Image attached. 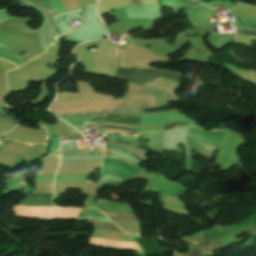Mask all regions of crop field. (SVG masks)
<instances>
[{"label": "crop field", "instance_id": "8a807250", "mask_svg": "<svg viewBox=\"0 0 256 256\" xmlns=\"http://www.w3.org/2000/svg\"><path fill=\"white\" fill-rule=\"evenodd\" d=\"M117 56H119L118 48H117ZM181 76L182 75L180 74H174V73L152 70V69H127V68L118 67L115 77L143 85L158 77L171 79L179 83Z\"/></svg>", "mask_w": 256, "mask_h": 256}, {"label": "crop field", "instance_id": "3316defc", "mask_svg": "<svg viewBox=\"0 0 256 256\" xmlns=\"http://www.w3.org/2000/svg\"><path fill=\"white\" fill-rule=\"evenodd\" d=\"M88 222L94 223L95 228H99V229H105V230H109V231H113V232H118V233H123L118 227H116L115 225L112 224H107V223H102V222H96V221H92V220H88ZM124 234V233H123Z\"/></svg>", "mask_w": 256, "mask_h": 256}, {"label": "crop field", "instance_id": "5a996713", "mask_svg": "<svg viewBox=\"0 0 256 256\" xmlns=\"http://www.w3.org/2000/svg\"><path fill=\"white\" fill-rule=\"evenodd\" d=\"M156 106H158V104L117 107V108H115L114 110H112V111H110L108 113H120V112L142 113L141 108L156 107Z\"/></svg>", "mask_w": 256, "mask_h": 256}, {"label": "crop field", "instance_id": "cbeb9de0", "mask_svg": "<svg viewBox=\"0 0 256 256\" xmlns=\"http://www.w3.org/2000/svg\"><path fill=\"white\" fill-rule=\"evenodd\" d=\"M0 121H4V122H8V123L14 124L13 119H11V118H9V117L1 114V113H0Z\"/></svg>", "mask_w": 256, "mask_h": 256}, {"label": "crop field", "instance_id": "f4fd0767", "mask_svg": "<svg viewBox=\"0 0 256 256\" xmlns=\"http://www.w3.org/2000/svg\"><path fill=\"white\" fill-rule=\"evenodd\" d=\"M0 57L3 59L13 61L17 65H22L25 62H27V60L16 55L15 51H13L9 46H7L1 42H0Z\"/></svg>", "mask_w": 256, "mask_h": 256}, {"label": "crop field", "instance_id": "ac0d7876", "mask_svg": "<svg viewBox=\"0 0 256 256\" xmlns=\"http://www.w3.org/2000/svg\"><path fill=\"white\" fill-rule=\"evenodd\" d=\"M100 116H106V114L100 115ZM141 118H142V124L188 121L189 126L200 129V127L197 126L192 120H190L188 117L184 116L181 113L162 115L157 117H141ZM141 118L140 117H94L89 121H111V122H117V123L141 124Z\"/></svg>", "mask_w": 256, "mask_h": 256}, {"label": "crop field", "instance_id": "22f410ed", "mask_svg": "<svg viewBox=\"0 0 256 256\" xmlns=\"http://www.w3.org/2000/svg\"><path fill=\"white\" fill-rule=\"evenodd\" d=\"M236 31H237L238 34L256 36V31H255V30L236 29ZM236 31H235V32H236Z\"/></svg>", "mask_w": 256, "mask_h": 256}, {"label": "crop field", "instance_id": "28ad6ade", "mask_svg": "<svg viewBox=\"0 0 256 256\" xmlns=\"http://www.w3.org/2000/svg\"><path fill=\"white\" fill-rule=\"evenodd\" d=\"M239 27L256 29V19L236 17Z\"/></svg>", "mask_w": 256, "mask_h": 256}, {"label": "crop field", "instance_id": "733c2abd", "mask_svg": "<svg viewBox=\"0 0 256 256\" xmlns=\"http://www.w3.org/2000/svg\"><path fill=\"white\" fill-rule=\"evenodd\" d=\"M86 20V17H85V19H84V21Z\"/></svg>", "mask_w": 256, "mask_h": 256}, {"label": "crop field", "instance_id": "34b2d1b8", "mask_svg": "<svg viewBox=\"0 0 256 256\" xmlns=\"http://www.w3.org/2000/svg\"><path fill=\"white\" fill-rule=\"evenodd\" d=\"M191 132L199 137L204 142L211 144L215 147L219 144L222 134L224 131H202V130H196L193 128H190Z\"/></svg>", "mask_w": 256, "mask_h": 256}, {"label": "crop field", "instance_id": "dd49c442", "mask_svg": "<svg viewBox=\"0 0 256 256\" xmlns=\"http://www.w3.org/2000/svg\"><path fill=\"white\" fill-rule=\"evenodd\" d=\"M98 115V114H88V115H75V116H59L74 127L83 126L84 122L87 121L89 118ZM82 131V128H77Z\"/></svg>", "mask_w": 256, "mask_h": 256}, {"label": "crop field", "instance_id": "bc2a9ffb", "mask_svg": "<svg viewBox=\"0 0 256 256\" xmlns=\"http://www.w3.org/2000/svg\"><path fill=\"white\" fill-rule=\"evenodd\" d=\"M74 149V148H73Z\"/></svg>", "mask_w": 256, "mask_h": 256}, {"label": "crop field", "instance_id": "e52e79f7", "mask_svg": "<svg viewBox=\"0 0 256 256\" xmlns=\"http://www.w3.org/2000/svg\"><path fill=\"white\" fill-rule=\"evenodd\" d=\"M112 147L111 148H121V149H125V150H128V151H131L133 152L134 154L138 155L143 161H146V160H149L146 156H145V152L143 151H140L130 145H127L125 143H118V142H115V141H112ZM130 152V153H131ZM132 153V154H133Z\"/></svg>", "mask_w": 256, "mask_h": 256}, {"label": "crop field", "instance_id": "412701ff", "mask_svg": "<svg viewBox=\"0 0 256 256\" xmlns=\"http://www.w3.org/2000/svg\"><path fill=\"white\" fill-rule=\"evenodd\" d=\"M51 198H52V195H49V194L28 195L19 204L31 205V206H53L52 203H51Z\"/></svg>", "mask_w": 256, "mask_h": 256}, {"label": "crop field", "instance_id": "d8731c3e", "mask_svg": "<svg viewBox=\"0 0 256 256\" xmlns=\"http://www.w3.org/2000/svg\"><path fill=\"white\" fill-rule=\"evenodd\" d=\"M101 210V209H99ZM109 219H121V220H137L133 213H123L101 210Z\"/></svg>", "mask_w": 256, "mask_h": 256}, {"label": "crop field", "instance_id": "d9b57169", "mask_svg": "<svg viewBox=\"0 0 256 256\" xmlns=\"http://www.w3.org/2000/svg\"><path fill=\"white\" fill-rule=\"evenodd\" d=\"M98 151H102V149H99Z\"/></svg>", "mask_w": 256, "mask_h": 256}, {"label": "crop field", "instance_id": "d1516ede", "mask_svg": "<svg viewBox=\"0 0 256 256\" xmlns=\"http://www.w3.org/2000/svg\"><path fill=\"white\" fill-rule=\"evenodd\" d=\"M179 126H188V124H187V122H184V123H169V124H165L164 130L176 128V127H179Z\"/></svg>", "mask_w": 256, "mask_h": 256}, {"label": "crop field", "instance_id": "4a817a6b", "mask_svg": "<svg viewBox=\"0 0 256 256\" xmlns=\"http://www.w3.org/2000/svg\"><path fill=\"white\" fill-rule=\"evenodd\" d=\"M72 28H74V27H72ZM76 29V28H75Z\"/></svg>", "mask_w": 256, "mask_h": 256}, {"label": "crop field", "instance_id": "5142ce71", "mask_svg": "<svg viewBox=\"0 0 256 256\" xmlns=\"http://www.w3.org/2000/svg\"><path fill=\"white\" fill-rule=\"evenodd\" d=\"M104 127H108V128H121V129H127V130H136V128H122V127H114V126H107V125H104Z\"/></svg>", "mask_w": 256, "mask_h": 256}]
</instances>
